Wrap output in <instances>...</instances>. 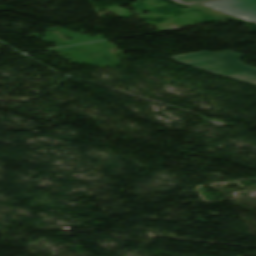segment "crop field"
I'll return each mask as SVG.
<instances>
[{"mask_svg": "<svg viewBox=\"0 0 256 256\" xmlns=\"http://www.w3.org/2000/svg\"><path fill=\"white\" fill-rule=\"evenodd\" d=\"M243 56L233 51L220 53L203 51L174 56V59L209 73L256 85V68L240 62L239 59Z\"/></svg>", "mask_w": 256, "mask_h": 256, "instance_id": "1", "label": "crop field"}, {"mask_svg": "<svg viewBox=\"0 0 256 256\" xmlns=\"http://www.w3.org/2000/svg\"><path fill=\"white\" fill-rule=\"evenodd\" d=\"M202 4L249 22L256 20V0H220Z\"/></svg>", "mask_w": 256, "mask_h": 256, "instance_id": "2", "label": "crop field"}, {"mask_svg": "<svg viewBox=\"0 0 256 256\" xmlns=\"http://www.w3.org/2000/svg\"><path fill=\"white\" fill-rule=\"evenodd\" d=\"M181 4H191V3H201V2H207V1H213V0H173ZM253 24H256V22H253Z\"/></svg>", "mask_w": 256, "mask_h": 256, "instance_id": "3", "label": "crop field"}]
</instances>
